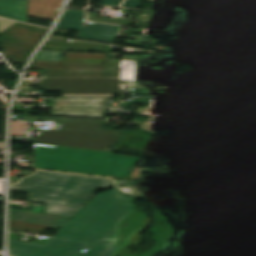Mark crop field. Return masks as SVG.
I'll return each instance as SVG.
<instances>
[{
	"label": "crop field",
	"mask_w": 256,
	"mask_h": 256,
	"mask_svg": "<svg viewBox=\"0 0 256 256\" xmlns=\"http://www.w3.org/2000/svg\"><path fill=\"white\" fill-rule=\"evenodd\" d=\"M135 200L116 190L97 193L45 246L9 239L10 255L113 256L116 239L101 240L117 237L118 223L136 207ZM83 248L88 250L79 252Z\"/></svg>",
	"instance_id": "obj_1"
},
{
	"label": "crop field",
	"mask_w": 256,
	"mask_h": 256,
	"mask_svg": "<svg viewBox=\"0 0 256 256\" xmlns=\"http://www.w3.org/2000/svg\"><path fill=\"white\" fill-rule=\"evenodd\" d=\"M13 190L28 193V201L46 203L43 213L72 217L99 189L112 188L103 178L36 171L12 184Z\"/></svg>",
	"instance_id": "obj_2"
},
{
	"label": "crop field",
	"mask_w": 256,
	"mask_h": 256,
	"mask_svg": "<svg viewBox=\"0 0 256 256\" xmlns=\"http://www.w3.org/2000/svg\"><path fill=\"white\" fill-rule=\"evenodd\" d=\"M23 120L59 121L57 131H43L33 143L77 147L106 151L120 136L119 130H102L103 121L37 118L22 116Z\"/></svg>",
	"instance_id": "obj_3"
},
{
	"label": "crop field",
	"mask_w": 256,
	"mask_h": 256,
	"mask_svg": "<svg viewBox=\"0 0 256 256\" xmlns=\"http://www.w3.org/2000/svg\"><path fill=\"white\" fill-rule=\"evenodd\" d=\"M35 167L102 176L112 175L114 153L34 144Z\"/></svg>",
	"instance_id": "obj_4"
},
{
	"label": "crop field",
	"mask_w": 256,
	"mask_h": 256,
	"mask_svg": "<svg viewBox=\"0 0 256 256\" xmlns=\"http://www.w3.org/2000/svg\"><path fill=\"white\" fill-rule=\"evenodd\" d=\"M46 29L17 23L0 34L4 57L25 63Z\"/></svg>",
	"instance_id": "obj_5"
},
{
	"label": "crop field",
	"mask_w": 256,
	"mask_h": 256,
	"mask_svg": "<svg viewBox=\"0 0 256 256\" xmlns=\"http://www.w3.org/2000/svg\"><path fill=\"white\" fill-rule=\"evenodd\" d=\"M109 98L110 96H67L62 99H53L50 115L104 118Z\"/></svg>",
	"instance_id": "obj_6"
},
{
	"label": "crop field",
	"mask_w": 256,
	"mask_h": 256,
	"mask_svg": "<svg viewBox=\"0 0 256 256\" xmlns=\"http://www.w3.org/2000/svg\"><path fill=\"white\" fill-rule=\"evenodd\" d=\"M57 28L80 31L77 38L114 43L120 26L85 22V11L65 10Z\"/></svg>",
	"instance_id": "obj_7"
},
{
	"label": "crop field",
	"mask_w": 256,
	"mask_h": 256,
	"mask_svg": "<svg viewBox=\"0 0 256 256\" xmlns=\"http://www.w3.org/2000/svg\"><path fill=\"white\" fill-rule=\"evenodd\" d=\"M36 86L62 90V94H113L119 92L118 79H42Z\"/></svg>",
	"instance_id": "obj_8"
},
{
	"label": "crop field",
	"mask_w": 256,
	"mask_h": 256,
	"mask_svg": "<svg viewBox=\"0 0 256 256\" xmlns=\"http://www.w3.org/2000/svg\"><path fill=\"white\" fill-rule=\"evenodd\" d=\"M51 77H120V65H62L46 70Z\"/></svg>",
	"instance_id": "obj_9"
},
{
	"label": "crop field",
	"mask_w": 256,
	"mask_h": 256,
	"mask_svg": "<svg viewBox=\"0 0 256 256\" xmlns=\"http://www.w3.org/2000/svg\"><path fill=\"white\" fill-rule=\"evenodd\" d=\"M64 0H28V17L54 21Z\"/></svg>",
	"instance_id": "obj_10"
},
{
	"label": "crop field",
	"mask_w": 256,
	"mask_h": 256,
	"mask_svg": "<svg viewBox=\"0 0 256 256\" xmlns=\"http://www.w3.org/2000/svg\"><path fill=\"white\" fill-rule=\"evenodd\" d=\"M13 220L43 224L62 228L70 218L10 209Z\"/></svg>",
	"instance_id": "obj_11"
},
{
	"label": "crop field",
	"mask_w": 256,
	"mask_h": 256,
	"mask_svg": "<svg viewBox=\"0 0 256 256\" xmlns=\"http://www.w3.org/2000/svg\"><path fill=\"white\" fill-rule=\"evenodd\" d=\"M0 16L27 23V0H0Z\"/></svg>",
	"instance_id": "obj_12"
},
{
	"label": "crop field",
	"mask_w": 256,
	"mask_h": 256,
	"mask_svg": "<svg viewBox=\"0 0 256 256\" xmlns=\"http://www.w3.org/2000/svg\"><path fill=\"white\" fill-rule=\"evenodd\" d=\"M137 161H139V158L136 156L118 154L113 174L123 178H130L132 168Z\"/></svg>",
	"instance_id": "obj_13"
},
{
	"label": "crop field",
	"mask_w": 256,
	"mask_h": 256,
	"mask_svg": "<svg viewBox=\"0 0 256 256\" xmlns=\"http://www.w3.org/2000/svg\"><path fill=\"white\" fill-rule=\"evenodd\" d=\"M64 64H118L113 59H64Z\"/></svg>",
	"instance_id": "obj_14"
},
{
	"label": "crop field",
	"mask_w": 256,
	"mask_h": 256,
	"mask_svg": "<svg viewBox=\"0 0 256 256\" xmlns=\"http://www.w3.org/2000/svg\"><path fill=\"white\" fill-rule=\"evenodd\" d=\"M34 60L62 61V52H38Z\"/></svg>",
	"instance_id": "obj_15"
},
{
	"label": "crop field",
	"mask_w": 256,
	"mask_h": 256,
	"mask_svg": "<svg viewBox=\"0 0 256 256\" xmlns=\"http://www.w3.org/2000/svg\"><path fill=\"white\" fill-rule=\"evenodd\" d=\"M88 20L96 21V22L123 24V25L132 24L131 21H127V20H118V19H110V18L97 17L95 13H88Z\"/></svg>",
	"instance_id": "obj_16"
},
{
	"label": "crop field",
	"mask_w": 256,
	"mask_h": 256,
	"mask_svg": "<svg viewBox=\"0 0 256 256\" xmlns=\"http://www.w3.org/2000/svg\"><path fill=\"white\" fill-rule=\"evenodd\" d=\"M28 123L12 121L11 135H24L27 132Z\"/></svg>",
	"instance_id": "obj_17"
},
{
	"label": "crop field",
	"mask_w": 256,
	"mask_h": 256,
	"mask_svg": "<svg viewBox=\"0 0 256 256\" xmlns=\"http://www.w3.org/2000/svg\"><path fill=\"white\" fill-rule=\"evenodd\" d=\"M62 62H47V61H32L29 68L30 69H47L62 65Z\"/></svg>",
	"instance_id": "obj_18"
},
{
	"label": "crop field",
	"mask_w": 256,
	"mask_h": 256,
	"mask_svg": "<svg viewBox=\"0 0 256 256\" xmlns=\"http://www.w3.org/2000/svg\"><path fill=\"white\" fill-rule=\"evenodd\" d=\"M107 54L64 53V58H106Z\"/></svg>",
	"instance_id": "obj_19"
},
{
	"label": "crop field",
	"mask_w": 256,
	"mask_h": 256,
	"mask_svg": "<svg viewBox=\"0 0 256 256\" xmlns=\"http://www.w3.org/2000/svg\"><path fill=\"white\" fill-rule=\"evenodd\" d=\"M141 3L142 0H125L123 3V7L139 8Z\"/></svg>",
	"instance_id": "obj_20"
},
{
	"label": "crop field",
	"mask_w": 256,
	"mask_h": 256,
	"mask_svg": "<svg viewBox=\"0 0 256 256\" xmlns=\"http://www.w3.org/2000/svg\"><path fill=\"white\" fill-rule=\"evenodd\" d=\"M16 22L4 20L0 18V32L6 30L7 28L11 27L14 25Z\"/></svg>",
	"instance_id": "obj_21"
},
{
	"label": "crop field",
	"mask_w": 256,
	"mask_h": 256,
	"mask_svg": "<svg viewBox=\"0 0 256 256\" xmlns=\"http://www.w3.org/2000/svg\"><path fill=\"white\" fill-rule=\"evenodd\" d=\"M122 0H102L104 5L119 6Z\"/></svg>",
	"instance_id": "obj_22"
},
{
	"label": "crop field",
	"mask_w": 256,
	"mask_h": 256,
	"mask_svg": "<svg viewBox=\"0 0 256 256\" xmlns=\"http://www.w3.org/2000/svg\"><path fill=\"white\" fill-rule=\"evenodd\" d=\"M18 103H28V102H34V99H28V98H16V101Z\"/></svg>",
	"instance_id": "obj_23"
},
{
	"label": "crop field",
	"mask_w": 256,
	"mask_h": 256,
	"mask_svg": "<svg viewBox=\"0 0 256 256\" xmlns=\"http://www.w3.org/2000/svg\"><path fill=\"white\" fill-rule=\"evenodd\" d=\"M51 39H57V40L66 41V38H61V37H57V36H52Z\"/></svg>",
	"instance_id": "obj_24"
},
{
	"label": "crop field",
	"mask_w": 256,
	"mask_h": 256,
	"mask_svg": "<svg viewBox=\"0 0 256 256\" xmlns=\"http://www.w3.org/2000/svg\"><path fill=\"white\" fill-rule=\"evenodd\" d=\"M109 236L105 237L103 240H106ZM116 238V237H115Z\"/></svg>",
	"instance_id": "obj_25"
}]
</instances>
